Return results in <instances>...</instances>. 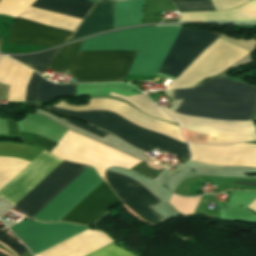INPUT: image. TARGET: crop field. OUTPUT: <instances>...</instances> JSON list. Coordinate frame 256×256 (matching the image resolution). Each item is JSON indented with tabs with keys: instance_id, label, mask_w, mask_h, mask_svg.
Instances as JSON below:
<instances>
[{
	"instance_id": "crop-field-7",
	"label": "crop field",
	"mask_w": 256,
	"mask_h": 256,
	"mask_svg": "<svg viewBox=\"0 0 256 256\" xmlns=\"http://www.w3.org/2000/svg\"><path fill=\"white\" fill-rule=\"evenodd\" d=\"M50 153L64 160L91 165L101 178L109 166L130 169L140 162L69 130Z\"/></svg>"
},
{
	"instance_id": "crop-field-2",
	"label": "crop field",
	"mask_w": 256,
	"mask_h": 256,
	"mask_svg": "<svg viewBox=\"0 0 256 256\" xmlns=\"http://www.w3.org/2000/svg\"><path fill=\"white\" fill-rule=\"evenodd\" d=\"M181 27H147L85 40L68 70L76 82L122 80L128 74L156 75Z\"/></svg>"
},
{
	"instance_id": "crop-field-13",
	"label": "crop field",
	"mask_w": 256,
	"mask_h": 256,
	"mask_svg": "<svg viewBox=\"0 0 256 256\" xmlns=\"http://www.w3.org/2000/svg\"><path fill=\"white\" fill-rule=\"evenodd\" d=\"M192 160L215 165L256 167V145H189Z\"/></svg>"
},
{
	"instance_id": "crop-field-27",
	"label": "crop field",
	"mask_w": 256,
	"mask_h": 256,
	"mask_svg": "<svg viewBox=\"0 0 256 256\" xmlns=\"http://www.w3.org/2000/svg\"><path fill=\"white\" fill-rule=\"evenodd\" d=\"M234 185H248V186H256V182L234 181Z\"/></svg>"
},
{
	"instance_id": "crop-field-25",
	"label": "crop field",
	"mask_w": 256,
	"mask_h": 256,
	"mask_svg": "<svg viewBox=\"0 0 256 256\" xmlns=\"http://www.w3.org/2000/svg\"><path fill=\"white\" fill-rule=\"evenodd\" d=\"M40 77L41 76H39L37 73H35V72L33 73L32 77L27 85L25 101L34 102L36 86H37V82Z\"/></svg>"
},
{
	"instance_id": "crop-field-9",
	"label": "crop field",
	"mask_w": 256,
	"mask_h": 256,
	"mask_svg": "<svg viewBox=\"0 0 256 256\" xmlns=\"http://www.w3.org/2000/svg\"><path fill=\"white\" fill-rule=\"evenodd\" d=\"M246 53H248V51L218 38L201 56L199 55L200 57L191 64L176 81L168 86V89L190 87L196 82L231 66Z\"/></svg>"
},
{
	"instance_id": "crop-field-21",
	"label": "crop field",
	"mask_w": 256,
	"mask_h": 256,
	"mask_svg": "<svg viewBox=\"0 0 256 256\" xmlns=\"http://www.w3.org/2000/svg\"><path fill=\"white\" fill-rule=\"evenodd\" d=\"M35 0H0V14L16 17Z\"/></svg>"
},
{
	"instance_id": "crop-field-5",
	"label": "crop field",
	"mask_w": 256,
	"mask_h": 256,
	"mask_svg": "<svg viewBox=\"0 0 256 256\" xmlns=\"http://www.w3.org/2000/svg\"><path fill=\"white\" fill-rule=\"evenodd\" d=\"M10 228L37 254L89 227L22 220ZM111 241L103 232L88 229L36 256H83Z\"/></svg>"
},
{
	"instance_id": "crop-field-11",
	"label": "crop field",
	"mask_w": 256,
	"mask_h": 256,
	"mask_svg": "<svg viewBox=\"0 0 256 256\" xmlns=\"http://www.w3.org/2000/svg\"><path fill=\"white\" fill-rule=\"evenodd\" d=\"M217 38L214 33L182 27L158 72L177 77Z\"/></svg>"
},
{
	"instance_id": "crop-field-10",
	"label": "crop field",
	"mask_w": 256,
	"mask_h": 256,
	"mask_svg": "<svg viewBox=\"0 0 256 256\" xmlns=\"http://www.w3.org/2000/svg\"><path fill=\"white\" fill-rule=\"evenodd\" d=\"M171 115L180 127L209 135L206 143L229 144L242 141L256 140V131L251 122H223L180 116L173 111L163 109Z\"/></svg>"
},
{
	"instance_id": "crop-field-26",
	"label": "crop field",
	"mask_w": 256,
	"mask_h": 256,
	"mask_svg": "<svg viewBox=\"0 0 256 256\" xmlns=\"http://www.w3.org/2000/svg\"><path fill=\"white\" fill-rule=\"evenodd\" d=\"M63 120H65L66 122H68V123H70V124H72L74 126H77V127L82 128L84 130H87V131H89L91 133L99 135L101 137H103L105 135V133H103L101 131H98L96 129H93V128L89 127V126H86V125H83V124H80V123H77V122H74V121H71V120H66V119H63Z\"/></svg>"
},
{
	"instance_id": "crop-field-20",
	"label": "crop field",
	"mask_w": 256,
	"mask_h": 256,
	"mask_svg": "<svg viewBox=\"0 0 256 256\" xmlns=\"http://www.w3.org/2000/svg\"><path fill=\"white\" fill-rule=\"evenodd\" d=\"M80 44L81 41H78L63 46V48L60 50V52L57 54L47 69L65 73Z\"/></svg>"
},
{
	"instance_id": "crop-field-19",
	"label": "crop field",
	"mask_w": 256,
	"mask_h": 256,
	"mask_svg": "<svg viewBox=\"0 0 256 256\" xmlns=\"http://www.w3.org/2000/svg\"><path fill=\"white\" fill-rule=\"evenodd\" d=\"M110 95L117 96L119 98L129 101L131 104H133L139 110H141L155 118L174 122L170 117H168L166 114H164L160 109H158L153 103H151L143 95H134V96L125 97V96H121V95L111 93V92H110Z\"/></svg>"
},
{
	"instance_id": "crop-field-17",
	"label": "crop field",
	"mask_w": 256,
	"mask_h": 256,
	"mask_svg": "<svg viewBox=\"0 0 256 256\" xmlns=\"http://www.w3.org/2000/svg\"><path fill=\"white\" fill-rule=\"evenodd\" d=\"M65 95H75V85H54L41 77L37 86L36 102L48 101Z\"/></svg>"
},
{
	"instance_id": "crop-field-8",
	"label": "crop field",
	"mask_w": 256,
	"mask_h": 256,
	"mask_svg": "<svg viewBox=\"0 0 256 256\" xmlns=\"http://www.w3.org/2000/svg\"><path fill=\"white\" fill-rule=\"evenodd\" d=\"M113 4L112 0H100L90 10L71 38L109 30ZM143 6L144 0L115 1L111 29L141 24Z\"/></svg>"
},
{
	"instance_id": "crop-field-24",
	"label": "crop field",
	"mask_w": 256,
	"mask_h": 256,
	"mask_svg": "<svg viewBox=\"0 0 256 256\" xmlns=\"http://www.w3.org/2000/svg\"><path fill=\"white\" fill-rule=\"evenodd\" d=\"M2 231L0 230V242L2 244H4L8 249H10L17 256L26 252V250L18 242H16L13 238H11L9 235L5 234ZM0 256H6V255L0 252Z\"/></svg>"
},
{
	"instance_id": "crop-field-16",
	"label": "crop field",
	"mask_w": 256,
	"mask_h": 256,
	"mask_svg": "<svg viewBox=\"0 0 256 256\" xmlns=\"http://www.w3.org/2000/svg\"><path fill=\"white\" fill-rule=\"evenodd\" d=\"M182 1V0H171ZM218 10H229L249 0H213ZM212 0L172 2L178 12L217 10Z\"/></svg>"
},
{
	"instance_id": "crop-field-22",
	"label": "crop field",
	"mask_w": 256,
	"mask_h": 256,
	"mask_svg": "<svg viewBox=\"0 0 256 256\" xmlns=\"http://www.w3.org/2000/svg\"><path fill=\"white\" fill-rule=\"evenodd\" d=\"M201 197L183 198L172 195L169 203L181 214H192Z\"/></svg>"
},
{
	"instance_id": "crop-field-23",
	"label": "crop field",
	"mask_w": 256,
	"mask_h": 256,
	"mask_svg": "<svg viewBox=\"0 0 256 256\" xmlns=\"http://www.w3.org/2000/svg\"><path fill=\"white\" fill-rule=\"evenodd\" d=\"M86 256H135V255L118 247L112 242Z\"/></svg>"
},
{
	"instance_id": "crop-field-6",
	"label": "crop field",
	"mask_w": 256,
	"mask_h": 256,
	"mask_svg": "<svg viewBox=\"0 0 256 256\" xmlns=\"http://www.w3.org/2000/svg\"><path fill=\"white\" fill-rule=\"evenodd\" d=\"M56 112L81 119L101 129L111 132L129 145L145 152L157 147L167 152L189 159L187 144L173 140L157 132H151L133 125L131 122L108 111L74 112L56 107H49Z\"/></svg>"
},
{
	"instance_id": "crop-field-12",
	"label": "crop field",
	"mask_w": 256,
	"mask_h": 256,
	"mask_svg": "<svg viewBox=\"0 0 256 256\" xmlns=\"http://www.w3.org/2000/svg\"><path fill=\"white\" fill-rule=\"evenodd\" d=\"M105 176L118 198L136 214L154 225L164 221V219L149 208L160 201L143 186L127 177L111 172L106 171Z\"/></svg>"
},
{
	"instance_id": "crop-field-15",
	"label": "crop field",
	"mask_w": 256,
	"mask_h": 256,
	"mask_svg": "<svg viewBox=\"0 0 256 256\" xmlns=\"http://www.w3.org/2000/svg\"><path fill=\"white\" fill-rule=\"evenodd\" d=\"M32 70L3 56L0 60V83L9 85L7 101H24Z\"/></svg>"
},
{
	"instance_id": "crop-field-14",
	"label": "crop field",
	"mask_w": 256,
	"mask_h": 256,
	"mask_svg": "<svg viewBox=\"0 0 256 256\" xmlns=\"http://www.w3.org/2000/svg\"><path fill=\"white\" fill-rule=\"evenodd\" d=\"M43 149L26 144L0 142V157H12L31 162ZM0 158V189L19 173L29 162Z\"/></svg>"
},
{
	"instance_id": "crop-field-3",
	"label": "crop field",
	"mask_w": 256,
	"mask_h": 256,
	"mask_svg": "<svg viewBox=\"0 0 256 256\" xmlns=\"http://www.w3.org/2000/svg\"><path fill=\"white\" fill-rule=\"evenodd\" d=\"M173 95L184 99L176 112L223 120H250L256 103V88L223 78L173 90Z\"/></svg>"
},
{
	"instance_id": "crop-field-1",
	"label": "crop field",
	"mask_w": 256,
	"mask_h": 256,
	"mask_svg": "<svg viewBox=\"0 0 256 256\" xmlns=\"http://www.w3.org/2000/svg\"><path fill=\"white\" fill-rule=\"evenodd\" d=\"M62 161L44 150L0 190V197L12 205L15 204ZM86 167L63 161L13 205V208L31 218ZM104 182L88 166L33 218L58 221ZM119 202L105 182L59 221L90 225Z\"/></svg>"
},
{
	"instance_id": "crop-field-18",
	"label": "crop field",
	"mask_w": 256,
	"mask_h": 256,
	"mask_svg": "<svg viewBox=\"0 0 256 256\" xmlns=\"http://www.w3.org/2000/svg\"><path fill=\"white\" fill-rule=\"evenodd\" d=\"M60 49L61 47L39 54L10 57L28 65L42 75V73L46 70V68L49 66L50 62Z\"/></svg>"
},
{
	"instance_id": "crop-field-4",
	"label": "crop field",
	"mask_w": 256,
	"mask_h": 256,
	"mask_svg": "<svg viewBox=\"0 0 256 256\" xmlns=\"http://www.w3.org/2000/svg\"><path fill=\"white\" fill-rule=\"evenodd\" d=\"M94 3L96 0H88ZM94 4L85 0H36L32 6L48 9L51 11L63 13L66 15L84 18L89 9ZM30 6L19 17L65 29L74 32L82 19L66 16L63 14L51 12L48 10ZM16 17L17 21L13 22L10 32L59 44L69 37L72 32L26 20ZM8 43L34 44L53 46L55 44L11 34Z\"/></svg>"
}]
</instances>
